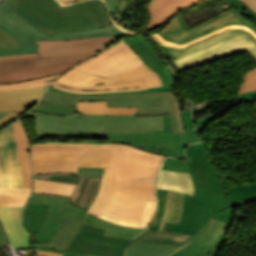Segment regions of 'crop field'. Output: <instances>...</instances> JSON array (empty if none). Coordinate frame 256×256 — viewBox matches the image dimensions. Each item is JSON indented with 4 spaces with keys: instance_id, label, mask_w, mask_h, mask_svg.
<instances>
[{
    "instance_id": "crop-field-30",
    "label": "crop field",
    "mask_w": 256,
    "mask_h": 256,
    "mask_svg": "<svg viewBox=\"0 0 256 256\" xmlns=\"http://www.w3.org/2000/svg\"><path fill=\"white\" fill-rule=\"evenodd\" d=\"M165 131H156L157 140L186 145L200 142L202 138L194 131V128L185 129L186 134L172 133L169 116H163Z\"/></svg>"
},
{
    "instance_id": "crop-field-36",
    "label": "crop field",
    "mask_w": 256,
    "mask_h": 256,
    "mask_svg": "<svg viewBox=\"0 0 256 256\" xmlns=\"http://www.w3.org/2000/svg\"><path fill=\"white\" fill-rule=\"evenodd\" d=\"M156 208V201L145 200L143 217L141 225L136 223L127 222L124 220L116 219L113 217H109L106 215L101 214L100 218L110 221L114 224L121 225V226H129V227H137V228H146L149 223L151 222Z\"/></svg>"
},
{
    "instance_id": "crop-field-24",
    "label": "crop field",
    "mask_w": 256,
    "mask_h": 256,
    "mask_svg": "<svg viewBox=\"0 0 256 256\" xmlns=\"http://www.w3.org/2000/svg\"><path fill=\"white\" fill-rule=\"evenodd\" d=\"M17 157L21 163L23 187L32 188V172L30 166V146L27 135L20 121L14 124Z\"/></svg>"
},
{
    "instance_id": "crop-field-16",
    "label": "crop field",
    "mask_w": 256,
    "mask_h": 256,
    "mask_svg": "<svg viewBox=\"0 0 256 256\" xmlns=\"http://www.w3.org/2000/svg\"><path fill=\"white\" fill-rule=\"evenodd\" d=\"M34 178L77 184L69 203L88 210L99 190L102 176L50 175Z\"/></svg>"
},
{
    "instance_id": "crop-field-29",
    "label": "crop field",
    "mask_w": 256,
    "mask_h": 256,
    "mask_svg": "<svg viewBox=\"0 0 256 256\" xmlns=\"http://www.w3.org/2000/svg\"><path fill=\"white\" fill-rule=\"evenodd\" d=\"M180 246L132 241L126 256H167Z\"/></svg>"
},
{
    "instance_id": "crop-field-21",
    "label": "crop field",
    "mask_w": 256,
    "mask_h": 256,
    "mask_svg": "<svg viewBox=\"0 0 256 256\" xmlns=\"http://www.w3.org/2000/svg\"><path fill=\"white\" fill-rule=\"evenodd\" d=\"M50 86L57 89L78 93H110L147 89L144 78L94 86L72 85L55 81L51 83Z\"/></svg>"
},
{
    "instance_id": "crop-field-57",
    "label": "crop field",
    "mask_w": 256,
    "mask_h": 256,
    "mask_svg": "<svg viewBox=\"0 0 256 256\" xmlns=\"http://www.w3.org/2000/svg\"><path fill=\"white\" fill-rule=\"evenodd\" d=\"M27 116H31V117H40V118H55V119H61V120H65V117L62 116H56V115H50V114H46V113H37V112H29L27 114Z\"/></svg>"
},
{
    "instance_id": "crop-field-19",
    "label": "crop field",
    "mask_w": 256,
    "mask_h": 256,
    "mask_svg": "<svg viewBox=\"0 0 256 256\" xmlns=\"http://www.w3.org/2000/svg\"><path fill=\"white\" fill-rule=\"evenodd\" d=\"M122 40L140 56L150 69L159 74L164 86L175 85L170 71L142 33Z\"/></svg>"
},
{
    "instance_id": "crop-field-52",
    "label": "crop field",
    "mask_w": 256,
    "mask_h": 256,
    "mask_svg": "<svg viewBox=\"0 0 256 256\" xmlns=\"http://www.w3.org/2000/svg\"><path fill=\"white\" fill-rule=\"evenodd\" d=\"M172 88H173V86H168V87L152 88V89L145 90V91L123 92V93H110V94H78V93H71V94H77V95H112V94H127V93H143V92L171 91ZM48 89L60 91V90H57V89L51 88V87H48ZM60 92H65V91H60ZM65 93H69V92H65Z\"/></svg>"
},
{
    "instance_id": "crop-field-3",
    "label": "crop field",
    "mask_w": 256,
    "mask_h": 256,
    "mask_svg": "<svg viewBox=\"0 0 256 256\" xmlns=\"http://www.w3.org/2000/svg\"><path fill=\"white\" fill-rule=\"evenodd\" d=\"M246 33L256 45V25L232 7L192 28L177 16L159 33L151 35L158 48L172 61Z\"/></svg>"
},
{
    "instance_id": "crop-field-20",
    "label": "crop field",
    "mask_w": 256,
    "mask_h": 256,
    "mask_svg": "<svg viewBox=\"0 0 256 256\" xmlns=\"http://www.w3.org/2000/svg\"><path fill=\"white\" fill-rule=\"evenodd\" d=\"M24 207L0 209V221L13 249L28 246L30 234L23 229Z\"/></svg>"
},
{
    "instance_id": "crop-field-8",
    "label": "crop field",
    "mask_w": 256,
    "mask_h": 256,
    "mask_svg": "<svg viewBox=\"0 0 256 256\" xmlns=\"http://www.w3.org/2000/svg\"><path fill=\"white\" fill-rule=\"evenodd\" d=\"M59 144L109 145L107 148V167H115V179L123 180L155 182L162 161L166 157L119 143L59 142Z\"/></svg>"
},
{
    "instance_id": "crop-field-31",
    "label": "crop field",
    "mask_w": 256,
    "mask_h": 256,
    "mask_svg": "<svg viewBox=\"0 0 256 256\" xmlns=\"http://www.w3.org/2000/svg\"><path fill=\"white\" fill-rule=\"evenodd\" d=\"M48 207L49 205H26L24 212V227L34 236L45 220Z\"/></svg>"
},
{
    "instance_id": "crop-field-18",
    "label": "crop field",
    "mask_w": 256,
    "mask_h": 256,
    "mask_svg": "<svg viewBox=\"0 0 256 256\" xmlns=\"http://www.w3.org/2000/svg\"><path fill=\"white\" fill-rule=\"evenodd\" d=\"M85 212L86 210L70 204L67 207L50 205L46 220L35 236L38 246L45 247L68 219L78 221Z\"/></svg>"
},
{
    "instance_id": "crop-field-58",
    "label": "crop field",
    "mask_w": 256,
    "mask_h": 256,
    "mask_svg": "<svg viewBox=\"0 0 256 256\" xmlns=\"http://www.w3.org/2000/svg\"><path fill=\"white\" fill-rule=\"evenodd\" d=\"M182 115H183V119H184L185 128L193 127L191 110L182 111Z\"/></svg>"
},
{
    "instance_id": "crop-field-38",
    "label": "crop field",
    "mask_w": 256,
    "mask_h": 256,
    "mask_svg": "<svg viewBox=\"0 0 256 256\" xmlns=\"http://www.w3.org/2000/svg\"><path fill=\"white\" fill-rule=\"evenodd\" d=\"M144 65L143 61L139 58V56L137 54L122 60L108 68H106L105 70L95 74V75H104L107 77L116 75L118 73L133 69L135 67Z\"/></svg>"
},
{
    "instance_id": "crop-field-7",
    "label": "crop field",
    "mask_w": 256,
    "mask_h": 256,
    "mask_svg": "<svg viewBox=\"0 0 256 256\" xmlns=\"http://www.w3.org/2000/svg\"><path fill=\"white\" fill-rule=\"evenodd\" d=\"M0 27L11 34L21 45V49L1 51L0 55L19 54V53H38V45L35 41L44 40H68L75 38H92L97 36L110 35L116 40L135 33L126 30L123 26L111 22L108 27L81 30L48 36L17 15L3 1L0 3Z\"/></svg>"
},
{
    "instance_id": "crop-field-69",
    "label": "crop field",
    "mask_w": 256,
    "mask_h": 256,
    "mask_svg": "<svg viewBox=\"0 0 256 256\" xmlns=\"http://www.w3.org/2000/svg\"><path fill=\"white\" fill-rule=\"evenodd\" d=\"M8 112H0V119L4 116V115H6Z\"/></svg>"
},
{
    "instance_id": "crop-field-34",
    "label": "crop field",
    "mask_w": 256,
    "mask_h": 256,
    "mask_svg": "<svg viewBox=\"0 0 256 256\" xmlns=\"http://www.w3.org/2000/svg\"><path fill=\"white\" fill-rule=\"evenodd\" d=\"M137 108H107V102H78L77 113L134 114Z\"/></svg>"
},
{
    "instance_id": "crop-field-48",
    "label": "crop field",
    "mask_w": 256,
    "mask_h": 256,
    "mask_svg": "<svg viewBox=\"0 0 256 256\" xmlns=\"http://www.w3.org/2000/svg\"><path fill=\"white\" fill-rule=\"evenodd\" d=\"M162 168L190 172L187 163L178 159L166 158Z\"/></svg>"
},
{
    "instance_id": "crop-field-49",
    "label": "crop field",
    "mask_w": 256,
    "mask_h": 256,
    "mask_svg": "<svg viewBox=\"0 0 256 256\" xmlns=\"http://www.w3.org/2000/svg\"><path fill=\"white\" fill-rule=\"evenodd\" d=\"M115 187L155 188V183L141 182V181H122V180H115Z\"/></svg>"
},
{
    "instance_id": "crop-field-25",
    "label": "crop field",
    "mask_w": 256,
    "mask_h": 256,
    "mask_svg": "<svg viewBox=\"0 0 256 256\" xmlns=\"http://www.w3.org/2000/svg\"><path fill=\"white\" fill-rule=\"evenodd\" d=\"M141 77H145L148 88L163 86L162 81L158 74L150 70L146 65L118 74L110 78L96 77L92 80L82 83L81 85L106 84L110 82L129 80Z\"/></svg>"
},
{
    "instance_id": "crop-field-70",
    "label": "crop field",
    "mask_w": 256,
    "mask_h": 256,
    "mask_svg": "<svg viewBox=\"0 0 256 256\" xmlns=\"http://www.w3.org/2000/svg\"><path fill=\"white\" fill-rule=\"evenodd\" d=\"M88 256H91V255H88Z\"/></svg>"
},
{
    "instance_id": "crop-field-55",
    "label": "crop field",
    "mask_w": 256,
    "mask_h": 256,
    "mask_svg": "<svg viewBox=\"0 0 256 256\" xmlns=\"http://www.w3.org/2000/svg\"><path fill=\"white\" fill-rule=\"evenodd\" d=\"M213 219L232 224V208L221 211Z\"/></svg>"
},
{
    "instance_id": "crop-field-26",
    "label": "crop field",
    "mask_w": 256,
    "mask_h": 256,
    "mask_svg": "<svg viewBox=\"0 0 256 256\" xmlns=\"http://www.w3.org/2000/svg\"><path fill=\"white\" fill-rule=\"evenodd\" d=\"M114 190V169H105V175H103L102 184L99 190V193L87 211L92 215H99L106 209L108 206Z\"/></svg>"
},
{
    "instance_id": "crop-field-68",
    "label": "crop field",
    "mask_w": 256,
    "mask_h": 256,
    "mask_svg": "<svg viewBox=\"0 0 256 256\" xmlns=\"http://www.w3.org/2000/svg\"><path fill=\"white\" fill-rule=\"evenodd\" d=\"M248 53L256 59V50L248 51Z\"/></svg>"
},
{
    "instance_id": "crop-field-62",
    "label": "crop field",
    "mask_w": 256,
    "mask_h": 256,
    "mask_svg": "<svg viewBox=\"0 0 256 256\" xmlns=\"http://www.w3.org/2000/svg\"><path fill=\"white\" fill-rule=\"evenodd\" d=\"M241 1L256 13V0H241Z\"/></svg>"
},
{
    "instance_id": "crop-field-14",
    "label": "crop field",
    "mask_w": 256,
    "mask_h": 256,
    "mask_svg": "<svg viewBox=\"0 0 256 256\" xmlns=\"http://www.w3.org/2000/svg\"><path fill=\"white\" fill-rule=\"evenodd\" d=\"M109 142H119L149 152L172 156L175 158H184V147L181 145L170 144L156 141L155 131L140 132H112L109 134ZM158 145V147H156Z\"/></svg>"
},
{
    "instance_id": "crop-field-23",
    "label": "crop field",
    "mask_w": 256,
    "mask_h": 256,
    "mask_svg": "<svg viewBox=\"0 0 256 256\" xmlns=\"http://www.w3.org/2000/svg\"><path fill=\"white\" fill-rule=\"evenodd\" d=\"M201 0H151L147 5L150 21L146 29L160 25L179 10L197 5Z\"/></svg>"
},
{
    "instance_id": "crop-field-13",
    "label": "crop field",
    "mask_w": 256,
    "mask_h": 256,
    "mask_svg": "<svg viewBox=\"0 0 256 256\" xmlns=\"http://www.w3.org/2000/svg\"><path fill=\"white\" fill-rule=\"evenodd\" d=\"M32 159H80L78 166L100 167V148L31 143Z\"/></svg>"
},
{
    "instance_id": "crop-field-56",
    "label": "crop field",
    "mask_w": 256,
    "mask_h": 256,
    "mask_svg": "<svg viewBox=\"0 0 256 256\" xmlns=\"http://www.w3.org/2000/svg\"><path fill=\"white\" fill-rule=\"evenodd\" d=\"M77 173H82V174H102L103 173V168L78 167Z\"/></svg>"
},
{
    "instance_id": "crop-field-11",
    "label": "crop field",
    "mask_w": 256,
    "mask_h": 256,
    "mask_svg": "<svg viewBox=\"0 0 256 256\" xmlns=\"http://www.w3.org/2000/svg\"><path fill=\"white\" fill-rule=\"evenodd\" d=\"M145 199L156 200L155 189L115 188L113 199L103 214L140 223Z\"/></svg>"
},
{
    "instance_id": "crop-field-53",
    "label": "crop field",
    "mask_w": 256,
    "mask_h": 256,
    "mask_svg": "<svg viewBox=\"0 0 256 256\" xmlns=\"http://www.w3.org/2000/svg\"><path fill=\"white\" fill-rule=\"evenodd\" d=\"M233 6H235L243 15H248L256 20V14L252 12L245 4L240 0H227ZM256 24V22H255Z\"/></svg>"
},
{
    "instance_id": "crop-field-54",
    "label": "crop field",
    "mask_w": 256,
    "mask_h": 256,
    "mask_svg": "<svg viewBox=\"0 0 256 256\" xmlns=\"http://www.w3.org/2000/svg\"><path fill=\"white\" fill-rule=\"evenodd\" d=\"M159 174L174 177V178H180V179H191L190 173H185V172H176V171L161 169Z\"/></svg>"
},
{
    "instance_id": "crop-field-45",
    "label": "crop field",
    "mask_w": 256,
    "mask_h": 256,
    "mask_svg": "<svg viewBox=\"0 0 256 256\" xmlns=\"http://www.w3.org/2000/svg\"><path fill=\"white\" fill-rule=\"evenodd\" d=\"M20 48L18 42L8 33L0 28V51Z\"/></svg>"
},
{
    "instance_id": "crop-field-67",
    "label": "crop field",
    "mask_w": 256,
    "mask_h": 256,
    "mask_svg": "<svg viewBox=\"0 0 256 256\" xmlns=\"http://www.w3.org/2000/svg\"><path fill=\"white\" fill-rule=\"evenodd\" d=\"M60 3H69V2H77L81 0H58Z\"/></svg>"
},
{
    "instance_id": "crop-field-27",
    "label": "crop field",
    "mask_w": 256,
    "mask_h": 256,
    "mask_svg": "<svg viewBox=\"0 0 256 256\" xmlns=\"http://www.w3.org/2000/svg\"><path fill=\"white\" fill-rule=\"evenodd\" d=\"M79 160H32L33 175L76 173Z\"/></svg>"
},
{
    "instance_id": "crop-field-60",
    "label": "crop field",
    "mask_w": 256,
    "mask_h": 256,
    "mask_svg": "<svg viewBox=\"0 0 256 256\" xmlns=\"http://www.w3.org/2000/svg\"><path fill=\"white\" fill-rule=\"evenodd\" d=\"M238 96L243 98V99H245V100H247V101H249V102H252V101L256 100V90L250 91V92H248L246 94H239Z\"/></svg>"
},
{
    "instance_id": "crop-field-65",
    "label": "crop field",
    "mask_w": 256,
    "mask_h": 256,
    "mask_svg": "<svg viewBox=\"0 0 256 256\" xmlns=\"http://www.w3.org/2000/svg\"><path fill=\"white\" fill-rule=\"evenodd\" d=\"M63 254H57L53 252H45L38 250V256H62Z\"/></svg>"
},
{
    "instance_id": "crop-field-10",
    "label": "crop field",
    "mask_w": 256,
    "mask_h": 256,
    "mask_svg": "<svg viewBox=\"0 0 256 256\" xmlns=\"http://www.w3.org/2000/svg\"><path fill=\"white\" fill-rule=\"evenodd\" d=\"M85 223L106 230L104 236L128 240H131L137 234L144 231V229L117 226L110 222L104 221L95 216L85 213L78 222L68 220L64 227L46 247L66 250L74 236Z\"/></svg>"
},
{
    "instance_id": "crop-field-33",
    "label": "crop field",
    "mask_w": 256,
    "mask_h": 256,
    "mask_svg": "<svg viewBox=\"0 0 256 256\" xmlns=\"http://www.w3.org/2000/svg\"><path fill=\"white\" fill-rule=\"evenodd\" d=\"M183 196L184 194L182 193L168 190L164 216L159 229H163L165 222L179 224L182 211Z\"/></svg>"
},
{
    "instance_id": "crop-field-61",
    "label": "crop field",
    "mask_w": 256,
    "mask_h": 256,
    "mask_svg": "<svg viewBox=\"0 0 256 256\" xmlns=\"http://www.w3.org/2000/svg\"><path fill=\"white\" fill-rule=\"evenodd\" d=\"M38 249L45 250V251H53V252H57V253H65L64 256H87L85 254L70 253V252H66L63 250H57V249H49V248H41V247H38Z\"/></svg>"
},
{
    "instance_id": "crop-field-4",
    "label": "crop field",
    "mask_w": 256,
    "mask_h": 256,
    "mask_svg": "<svg viewBox=\"0 0 256 256\" xmlns=\"http://www.w3.org/2000/svg\"><path fill=\"white\" fill-rule=\"evenodd\" d=\"M40 31L63 32L108 26L107 7L102 0L60 5L56 0H3Z\"/></svg>"
},
{
    "instance_id": "crop-field-66",
    "label": "crop field",
    "mask_w": 256,
    "mask_h": 256,
    "mask_svg": "<svg viewBox=\"0 0 256 256\" xmlns=\"http://www.w3.org/2000/svg\"><path fill=\"white\" fill-rule=\"evenodd\" d=\"M163 61L165 62L166 66L169 68V70L172 72L174 79H176V71L174 70V68L171 66V64L168 62V60L166 58L163 59Z\"/></svg>"
},
{
    "instance_id": "crop-field-46",
    "label": "crop field",
    "mask_w": 256,
    "mask_h": 256,
    "mask_svg": "<svg viewBox=\"0 0 256 256\" xmlns=\"http://www.w3.org/2000/svg\"><path fill=\"white\" fill-rule=\"evenodd\" d=\"M224 4H228V3H222V5H224ZM222 5H217V6L215 7V9H216L218 12H220V8H221ZM212 10H213V9H212ZM214 12H215V11H214ZM207 14H208L209 16L206 17L205 20L208 19V18H210V17H212V16H210V15L212 14L210 8L200 9V10H198V11H194L193 13L187 14V15L182 16V17L184 18V20H185V21L189 24V26L191 27V26L195 25V24H191V22H193L192 19H194L195 17H204V16L207 15ZM214 15H216V14H214ZM198 20H199V19H198ZM199 23H200V22H199Z\"/></svg>"
},
{
    "instance_id": "crop-field-1",
    "label": "crop field",
    "mask_w": 256,
    "mask_h": 256,
    "mask_svg": "<svg viewBox=\"0 0 256 256\" xmlns=\"http://www.w3.org/2000/svg\"><path fill=\"white\" fill-rule=\"evenodd\" d=\"M186 159L195 194H185L180 225L166 223L163 230L194 235L193 242L214 244L231 225L211 218L225 208L256 201V182L232 186L229 176L217 174L208 162L204 142L187 146Z\"/></svg>"
},
{
    "instance_id": "crop-field-39",
    "label": "crop field",
    "mask_w": 256,
    "mask_h": 256,
    "mask_svg": "<svg viewBox=\"0 0 256 256\" xmlns=\"http://www.w3.org/2000/svg\"><path fill=\"white\" fill-rule=\"evenodd\" d=\"M211 247L212 245L189 242L182 249L170 256H211L207 255Z\"/></svg>"
},
{
    "instance_id": "crop-field-50",
    "label": "crop field",
    "mask_w": 256,
    "mask_h": 256,
    "mask_svg": "<svg viewBox=\"0 0 256 256\" xmlns=\"http://www.w3.org/2000/svg\"><path fill=\"white\" fill-rule=\"evenodd\" d=\"M109 8L110 13L120 12L123 10H129L127 0H104Z\"/></svg>"
},
{
    "instance_id": "crop-field-42",
    "label": "crop field",
    "mask_w": 256,
    "mask_h": 256,
    "mask_svg": "<svg viewBox=\"0 0 256 256\" xmlns=\"http://www.w3.org/2000/svg\"><path fill=\"white\" fill-rule=\"evenodd\" d=\"M94 77L96 76L85 74L79 69L74 67L71 70L64 73L63 75H61L56 80L61 82H66V83L80 84Z\"/></svg>"
},
{
    "instance_id": "crop-field-15",
    "label": "crop field",
    "mask_w": 256,
    "mask_h": 256,
    "mask_svg": "<svg viewBox=\"0 0 256 256\" xmlns=\"http://www.w3.org/2000/svg\"><path fill=\"white\" fill-rule=\"evenodd\" d=\"M0 187H22L13 125L0 131Z\"/></svg>"
},
{
    "instance_id": "crop-field-28",
    "label": "crop field",
    "mask_w": 256,
    "mask_h": 256,
    "mask_svg": "<svg viewBox=\"0 0 256 256\" xmlns=\"http://www.w3.org/2000/svg\"><path fill=\"white\" fill-rule=\"evenodd\" d=\"M192 236L176 232L147 229L134 240L183 246Z\"/></svg>"
},
{
    "instance_id": "crop-field-32",
    "label": "crop field",
    "mask_w": 256,
    "mask_h": 256,
    "mask_svg": "<svg viewBox=\"0 0 256 256\" xmlns=\"http://www.w3.org/2000/svg\"><path fill=\"white\" fill-rule=\"evenodd\" d=\"M32 189L0 188V208L25 206Z\"/></svg>"
},
{
    "instance_id": "crop-field-5",
    "label": "crop field",
    "mask_w": 256,
    "mask_h": 256,
    "mask_svg": "<svg viewBox=\"0 0 256 256\" xmlns=\"http://www.w3.org/2000/svg\"><path fill=\"white\" fill-rule=\"evenodd\" d=\"M38 137L108 138L112 131L164 130L162 116L76 115L65 121L35 118Z\"/></svg>"
},
{
    "instance_id": "crop-field-64",
    "label": "crop field",
    "mask_w": 256,
    "mask_h": 256,
    "mask_svg": "<svg viewBox=\"0 0 256 256\" xmlns=\"http://www.w3.org/2000/svg\"><path fill=\"white\" fill-rule=\"evenodd\" d=\"M150 115H169V114H168V112L137 113V114H134V117H137V116H150Z\"/></svg>"
},
{
    "instance_id": "crop-field-71",
    "label": "crop field",
    "mask_w": 256,
    "mask_h": 256,
    "mask_svg": "<svg viewBox=\"0 0 256 256\" xmlns=\"http://www.w3.org/2000/svg\"><path fill=\"white\" fill-rule=\"evenodd\" d=\"M146 1H148V0H146Z\"/></svg>"
},
{
    "instance_id": "crop-field-37",
    "label": "crop field",
    "mask_w": 256,
    "mask_h": 256,
    "mask_svg": "<svg viewBox=\"0 0 256 256\" xmlns=\"http://www.w3.org/2000/svg\"><path fill=\"white\" fill-rule=\"evenodd\" d=\"M157 189H170L193 196L194 188L191 180H179L159 175Z\"/></svg>"
},
{
    "instance_id": "crop-field-12",
    "label": "crop field",
    "mask_w": 256,
    "mask_h": 256,
    "mask_svg": "<svg viewBox=\"0 0 256 256\" xmlns=\"http://www.w3.org/2000/svg\"><path fill=\"white\" fill-rule=\"evenodd\" d=\"M256 46L247 37L246 34L226 40L220 44L193 53L189 56L174 61V64L180 70L203 65L233 54L248 51Z\"/></svg>"
},
{
    "instance_id": "crop-field-35",
    "label": "crop field",
    "mask_w": 256,
    "mask_h": 256,
    "mask_svg": "<svg viewBox=\"0 0 256 256\" xmlns=\"http://www.w3.org/2000/svg\"><path fill=\"white\" fill-rule=\"evenodd\" d=\"M76 185L34 179L35 192L71 197Z\"/></svg>"
},
{
    "instance_id": "crop-field-6",
    "label": "crop field",
    "mask_w": 256,
    "mask_h": 256,
    "mask_svg": "<svg viewBox=\"0 0 256 256\" xmlns=\"http://www.w3.org/2000/svg\"><path fill=\"white\" fill-rule=\"evenodd\" d=\"M77 101H108V107H139L137 112L169 111L173 132L185 133L181 109L172 92L112 96H76L46 90L41 102L76 106Z\"/></svg>"
},
{
    "instance_id": "crop-field-59",
    "label": "crop field",
    "mask_w": 256,
    "mask_h": 256,
    "mask_svg": "<svg viewBox=\"0 0 256 256\" xmlns=\"http://www.w3.org/2000/svg\"><path fill=\"white\" fill-rule=\"evenodd\" d=\"M72 146L101 147V167H106V147L108 146H93V145H72Z\"/></svg>"
},
{
    "instance_id": "crop-field-47",
    "label": "crop field",
    "mask_w": 256,
    "mask_h": 256,
    "mask_svg": "<svg viewBox=\"0 0 256 256\" xmlns=\"http://www.w3.org/2000/svg\"><path fill=\"white\" fill-rule=\"evenodd\" d=\"M256 89V68L245 74L240 93Z\"/></svg>"
},
{
    "instance_id": "crop-field-41",
    "label": "crop field",
    "mask_w": 256,
    "mask_h": 256,
    "mask_svg": "<svg viewBox=\"0 0 256 256\" xmlns=\"http://www.w3.org/2000/svg\"><path fill=\"white\" fill-rule=\"evenodd\" d=\"M57 76L58 75H54V76L40 78L36 80H31V81L0 85V90L25 89V88H31V87H37V86H45V85H49V83L53 79H55Z\"/></svg>"
},
{
    "instance_id": "crop-field-63",
    "label": "crop field",
    "mask_w": 256,
    "mask_h": 256,
    "mask_svg": "<svg viewBox=\"0 0 256 256\" xmlns=\"http://www.w3.org/2000/svg\"><path fill=\"white\" fill-rule=\"evenodd\" d=\"M8 243H9V242H8V240H7V238H6V235H5L3 229H2V227H1V225H0V246H1V245L8 244Z\"/></svg>"
},
{
    "instance_id": "crop-field-17",
    "label": "crop field",
    "mask_w": 256,
    "mask_h": 256,
    "mask_svg": "<svg viewBox=\"0 0 256 256\" xmlns=\"http://www.w3.org/2000/svg\"><path fill=\"white\" fill-rule=\"evenodd\" d=\"M45 87H37L25 90L0 91V111H11L0 120V126L18 117L34 102L38 103Z\"/></svg>"
},
{
    "instance_id": "crop-field-43",
    "label": "crop field",
    "mask_w": 256,
    "mask_h": 256,
    "mask_svg": "<svg viewBox=\"0 0 256 256\" xmlns=\"http://www.w3.org/2000/svg\"><path fill=\"white\" fill-rule=\"evenodd\" d=\"M32 110L73 116L75 114L76 107H67V106L53 105V104H46V103L39 102V104Z\"/></svg>"
},
{
    "instance_id": "crop-field-40",
    "label": "crop field",
    "mask_w": 256,
    "mask_h": 256,
    "mask_svg": "<svg viewBox=\"0 0 256 256\" xmlns=\"http://www.w3.org/2000/svg\"><path fill=\"white\" fill-rule=\"evenodd\" d=\"M70 198L58 197L33 192L28 203L31 204H54L67 206Z\"/></svg>"
},
{
    "instance_id": "crop-field-9",
    "label": "crop field",
    "mask_w": 256,
    "mask_h": 256,
    "mask_svg": "<svg viewBox=\"0 0 256 256\" xmlns=\"http://www.w3.org/2000/svg\"><path fill=\"white\" fill-rule=\"evenodd\" d=\"M104 230L85 224L67 251L98 256H123L130 241L103 237Z\"/></svg>"
},
{
    "instance_id": "crop-field-51",
    "label": "crop field",
    "mask_w": 256,
    "mask_h": 256,
    "mask_svg": "<svg viewBox=\"0 0 256 256\" xmlns=\"http://www.w3.org/2000/svg\"><path fill=\"white\" fill-rule=\"evenodd\" d=\"M241 101H243V100H240V101H238V102H235L234 104H232V105H230V106H228V107H225V108H223V109H221V110H219V111H217V112H215V113H213V114H211V115H208V116H206V117H203V118L197 120V124H196V130H197V132H198V133L201 132V131L203 130L204 126H205L211 119H213L214 117H216V116L219 115L220 113H222V112H224L225 110H227V109L233 107L234 105L238 104V103L241 102Z\"/></svg>"
},
{
    "instance_id": "crop-field-44",
    "label": "crop field",
    "mask_w": 256,
    "mask_h": 256,
    "mask_svg": "<svg viewBox=\"0 0 256 256\" xmlns=\"http://www.w3.org/2000/svg\"><path fill=\"white\" fill-rule=\"evenodd\" d=\"M157 191H158V210L153 223L148 227L153 229H158L161 224L162 215H163L164 206H165V200H166V193H167V190H157Z\"/></svg>"
},
{
    "instance_id": "crop-field-2",
    "label": "crop field",
    "mask_w": 256,
    "mask_h": 256,
    "mask_svg": "<svg viewBox=\"0 0 256 256\" xmlns=\"http://www.w3.org/2000/svg\"><path fill=\"white\" fill-rule=\"evenodd\" d=\"M114 41L116 40L108 36L83 40L37 42L39 54L0 56V84L63 73L100 52Z\"/></svg>"
},
{
    "instance_id": "crop-field-22",
    "label": "crop field",
    "mask_w": 256,
    "mask_h": 256,
    "mask_svg": "<svg viewBox=\"0 0 256 256\" xmlns=\"http://www.w3.org/2000/svg\"><path fill=\"white\" fill-rule=\"evenodd\" d=\"M135 52L122 40L117 44L113 45L108 50L104 51L100 55L76 66L81 70L88 72L90 74H95L104 68L125 59Z\"/></svg>"
}]
</instances>
